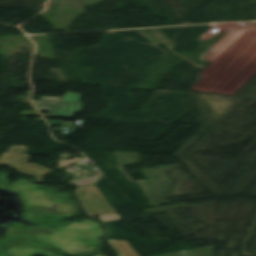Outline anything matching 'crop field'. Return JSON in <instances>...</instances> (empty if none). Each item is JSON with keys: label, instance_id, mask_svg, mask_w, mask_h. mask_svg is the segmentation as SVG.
Listing matches in <instances>:
<instances>
[{"label": "crop field", "instance_id": "obj_1", "mask_svg": "<svg viewBox=\"0 0 256 256\" xmlns=\"http://www.w3.org/2000/svg\"><path fill=\"white\" fill-rule=\"evenodd\" d=\"M81 95L67 92L63 99L54 97H40L41 100H33L39 111H50V114H43L44 117L72 118L73 113L82 110V103H79Z\"/></svg>", "mask_w": 256, "mask_h": 256}, {"label": "crop field", "instance_id": "obj_2", "mask_svg": "<svg viewBox=\"0 0 256 256\" xmlns=\"http://www.w3.org/2000/svg\"><path fill=\"white\" fill-rule=\"evenodd\" d=\"M77 192L89 214L96 215L115 212L95 186L81 188Z\"/></svg>", "mask_w": 256, "mask_h": 256}, {"label": "crop field", "instance_id": "obj_3", "mask_svg": "<svg viewBox=\"0 0 256 256\" xmlns=\"http://www.w3.org/2000/svg\"><path fill=\"white\" fill-rule=\"evenodd\" d=\"M119 256H138L127 241L108 240Z\"/></svg>", "mask_w": 256, "mask_h": 256}, {"label": "crop field", "instance_id": "obj_4", "mask_svg": "<svg viewBox=\"0 0 256 256\" xmlns=\"http://www.w3.org/2000/svg\"><path fill=\"white\" fill-rule=\"evenodd\" d=\"M22 102H28L33 111H21L23 116H40L33 104L30 102L29 97H22Z\"/></svg>", "mask_w": 256, "mask_h": 256}, {"label": "crop field", "instance_id": "obj_5", "mask_svg": "<svg viewBox=\"0 0 256 256\" xmlns=\"http://www.w3.org/2000/svg\"><path fill=\"white\" fill-rule=\"evenodd\" d=\"M14 146H11V148L8 150L7 153L1 154L0 156V165L3 164V162L5 161V159L7 158V156L9 155V153L11 152V150L13 149Z\"/></svg>", "mask_w": 256, "mask_h": 256}, {"label": "crop field", "instance_id": "obj_6", "mask_svg": "<svg viewBox=\"0 0 256 256\" xmlns=\"http://www.w3.org/2000/svg\"><path fill=\"white\" fill-rule=\"evenodd\" d=\"M77 160H80V158H77V159H74V160H71V161H68V162H66V161H64V162H62V161H60L61 163H59V164H61L62 166H64V165H67V164H69V163H72V162H74V161H77ZM59 168V167H58Z\"/></svg>", "mask_w": 256, "mask_h": 256}, {"label": "crop field", "instance_id": "obj_7", "mask_svg": "<svg viewBox=\"0 0 256 256\" xmlns=\"http://www.w3.org/2000/svg\"><path fill=\"white\" fill-rule=\"evenodd\" d=\"M97 256H100V255H97Z\"/></svg>", "mask_w": 256, "mask_h": 256}]
</instances>
